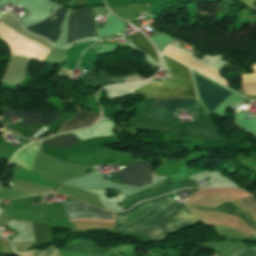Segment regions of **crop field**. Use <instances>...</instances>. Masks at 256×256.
I'll use <instances>...</instances> for the list:
<instances>
[{"mask_svg": "<svg viewBox=\"0 0 256 256\" xmlns=\"http://www.w3.org/2000/svg\"><path fill=\"white\" fill-rule=\"evenodd\" d=\"M167 196L168 195L139 203L131 210L126 212L115 213V229L118 230L123 226L127 225L128 223L132 222L133 220L137 219L138 217L142 216L144 213H146L148 210H150ZM177 206L178 204L174 202L173 199L167 197L145 215L120 230L137 234L147 232L156 225H158L160 222H162L166 217H168L177 208Z\"/></svg>", "mask_w": 256, "mask_h": 256, "instance_id": "1", "label": "crop field"}, {"mask_svg": "<svg viewBox=\"0 0 256 256\" xmlns=\"http://www.w3.org/2000/svg\"><path fill=\"white\" fill-rule=\"evenodd\" d=\"M164 58L171 73L170 80L135 90L134 94L145 98L184 97L196 99L189 69L166 56Z\"/></svg>", "mask_w": 256, "mask_h": 256, "instance_id": "2", "label": "crop field"}, {"mask_svg": "<svg viewBox=\"0 0 256 256\" xmlns=\"http://www.w3.org/2000/svg\"><path fill=\"white\" fill-rule=\"evenodd\" d=\"M94 36H96V31L92 8L71 11L68 35L65 43Z\"/></svg>", "mask_w": 256, "mask_h": 256, "instance_id": "3", "label": "crop field"}, {"mask_svg": "<svg viewBox=\"0 0 256 256\" xmlns=\"http://www.w3.org/2000/svg\"><path fill=\"white\" fill-rule=\"evenodd\" d=\"M115 173L127 185L145 186L150 183L151 165L137 161Z\"/></svg>", "mask_w": 256, "mask_h": 256, "instance_id": "4", "label": "crop field"}, {"mask_svg": "<svg viewBox=\"0 0 256 256\" xmlns=\"http://www.w3.org/2000/svg\"><path fill=\"white\" fill-rule=\"evenodd\" d=\"M197 219L198 218L189 211L186 205H184L181 206L170 219L166 220L154 230L143 235L154 239H159L163 237L167 232L183 227L193 221H196Z\"/></svg>", "mask_w": 256, "mask_h": 256, "instance_id": "5", "label": "crop field"}, {"mask_svg": "<svg viewBox=\"0 0 256 256\" xmlns=\"http://www.w3.org/2000/svg\"><path fill=\"white\" fill-rule=\"evenodd\" d=\"M66 13L67 10L59 7L52 16L34 26L27 27L26 29L56 42L60 35V28Z\"/></svg>", "mask_w": 256, "mask_h": 256, "instance_id": "6", "label": "crop field"}, {"mask_svg": "<svg viewBox=\"0 0 256 256\" xmlns=\"http://www.w3.org/2000/svg\"><path fill=\"white\" fill-rule=\"evenodd\" d=\"M193 74L201 101L207 111L230 93L222 89L221 87L211 83L210 81L202 78L201 76L195 73Z\"/></svg>", "mask_w": 256, "mask_h": 256, "instance_id": "7", "label": "crop field"}, {"mask_svg": "<svg viewBox=\"0 0 256 256\" xmlns=\"http://www.w3.org/2000/svg\"><path fill=\"white\" fill-rule=\"evenodd\" d=\"M193 103L188 99H157L148 118H170L177 107L189 108Z\"/></svg>", "mask_w": 256, "mask_h": 256, "instance_id": "8", "label": "crop field"}, {"mask_svg": "<svg viewBox=\"0 0 256 256\" xmlns=\"http://www.w3.org/2000/svg\"><path fill=\"white\" fill-rule=\"evenodd\" d=\"M66 212H72V211H85V210H94L91 208H88L78 202L70 203L64 205ZM93 211H85V212H73L69 213L68 218L70 221L73 220H101V221H114V215L109 213H101V212H93Z\"/></svg>", "mask_w": 256, "mask_h": 256, "instance_id": "9", "label": "crop field"}, {"mask_svg": "<svg viewBox=\"0 0 256 256\" xmlns=\"http://www.w3.org/2000/svg\"><path fill=\"white\" fill-rule=\"evenodd\" d=\"M98 119V114L92 111H83L63 125L65 131L89 126Z\"/></svg>", "mask_w": 256, "mask_h": 256, "instance_id": "10", "label": "crop field"}, {"mask_svg": "<svg viewBox=\"0 0 256 256\" xmlns=\"http://www.w3.org/2000/svg\"><path fill=\"white\" fill-rule=\"evenodd\" d=\"M189 130L206 141L218 137V134L214 128L210 124L203 121L190 122Z\"/></svg>", "mask_w": 256, "mask_h": 256, "instance_id": "11", "label": "crop field"}, {"mask_svg": "<svg viewBox=\"0 0 256 256\" xmlns=\"http://www.w3.org/2000/svg\"><path fill=\"white\" fill-rule=\"evenodd\" d=\"M130 37L132 44L135 47L145 51L151 58H153L159 64L158 56L155 50L153 49L152 45L148 42L144 35H142L140 32H137L131 35Z\"/></svg>", "mask_w": 256, "mask_h": 256, "instance_id": "12", "label": "crop field"}, {"mask_svg": "<svg viewBox=\"0 0 256 256\" xmlns=\"http://www.w3.org/2000/svg\"><path fill=\"white\" fill-rule=\"evenodd\" d=\"M13 115L24 117V118H40V117H60L61 113H52V112H32L25 110H16L8 108L4 112V116L10 119Z\"/></svg>", "mask_w": 256, "mask_h": 256, "instance_id": "13", "label": "crop field"}, {"mask_svg": "<svg viewBox=\"0 0 256 256\" xmlns=\"http://www.w3.org/2000/svg\"><path fill=\"white\" fill-rule=\"evenodd\" d=\"M251 198L256 200V197L254 196H251ZM252 199L246 197L231 202L235 204L237 207L249 212L252 215L253 220L256 221V201Z\"/></svg>", "mask_w": 256, "mask_h": 256, "instance_id": "14", "label": "crop field"}, {"mask_svg": "<svg viewBox=\"0 0 256 256\" xmlns=\"http://www.w3.org/2000/svg\"><path fill=\"white\" fill-rule=\"evenodd\" d=\"M77 142H79V140L74 135H63L54 139L44 141L47 147L54 145L67 147Z\"/></svg>", "mask_w": 256, "mask_h": 256, "instance_id": "15", "label": "crop field"}, {"mask_svg": "<svg viewBox=\"0 0 256 256\" xmlns=\"http://www.w3.org/2000/svg\"><path fill=\"white\" fill-rule=\"evenodd\" d=\"M58 118H48V119H35V120H27L22 123V126L24 125H37V124H44V123H50L54 120H57Z\"/></svg>", "mask_w": 256, "mask_h": 256, "instance_id": "16", "label": "crop field"}, {"mask_svg": "<svg viewBox=\"0 0 256 256\" xmlns=\"http://www.w3.org/2000/svg\"><path fill=\"white\" fill-rule=\"evenodd\" d=\"M231 256H256L255 250L246 249L240 253L233 254Z\"/></svg>", "mask_w": 256, "mask_h": 256, "instance_id": "17", "label": "crop field"}, {"mask_svg": "<svg viewBox=\"0 0 256 256\" xmlns=\"http://www.w3.org/2000/svg\"><path fill=\"white\" fill-rule=\"evenodd\" d=\"M241 1H243V2L247 3L248 5H250L253 0H241Z\"/></svg>", "mask_w": 256, "mask_h": 256, "instance_id": "18", "label": "crop field"}, {"mask_svg": "<svg viewBox=\"0 0 256 256\" xmlns=\"http://www.w3.org/2000/svg\"><path fill=\"white\" fill-rule=\"evenodd\" d=\"M7 13H9V12H7ZM9 14H11V13H9ZM11 15H13V14H11Z\"/></svg>", "mask_w": 256, "mask_h": 256, "instance_id": "19", "label": "crop field"}, {"mask_svg": "<svg viewBox=\"0 0 256 256\" xmlns=\"http://www.w3.org/2000/svg\"><path fill=\"white\" fill-rule=\"evenodd\" d=\"M0 119H1V117H0Z\"/></svg>", "mask_w": 256, "mask_h": 256, "instance_id": "20", "label": "crop field"}, {"mask_svg": "<svg viewBox=\"0 0 256 256\" xmlns=\"http://www.w3.org/2000/svg\"><path fill=\"white\" fill-rule=\"evenodd\" d=\"M83 70V69H82Z\"/></svg>", "mask_w": 256, "mask_h": 256, "instance_id": "21", "label": "crop field"}]
</instances>
